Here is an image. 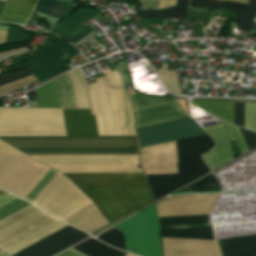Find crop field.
<instances>
[{"instance_id":"12","label":"crop field","mask_w":256,"mask_h":256,"mask_svg":"<svg viewBox=\"0 0 256 256\" xmlns=\"http://www.w3.org/2000/svg\"><path fill=\"white\" fill-rule=\"evenodd\" d=\"M140 147L206 134L188 117L137 129Z\"/></svg>"},{"instance_id":"58","label":"crop field","mask_w":256,"mask_h":256,"mask_svg":"<svg viewBox=\"0 0 256 256\" xmlns=\"http://www.w3.org/2000/svg\"><path fill=\"white\" fill-rule=\"evenodd\" d=\"M0 1H3V2H5L6 0H0Z\"/></svg>"},{"instance_id":"57","label":"crop field","mask_w":256,"mask_h":256,"mask_svg":"<svg viewBox=\"0 0 256 256\" xmlns=\"http://www.w3.org/2000/svg\"><path fill=\"white\" fill-rule=\"evenodd\" d=\"M126 256H135V255H130V254H128V255H126Z\"/></svg>"},{"instance_id":"2","label":"crop field","mask_w":256,"mask_h":256,"mask_svg":"<svg viewBox=\"0 0 256 256\" xmlns=\"http://www.w3.org/2000/svg\"><path fill=\"white\" fill-rule=\"evenodd\" d=\"M213 143L208 135L176 141L179 174L146 175L154 199L208 173L210 170L201 154L212 148Z\"/></svg>"},{"instance_id":"3","label":"crop field","mask_w":256,"mask_h":256,"mask_svg":"<svg viewBox=\"0 0 256 256\" xmlns=\"http://www.w3.org/2000/svg\"><path fill=\"white\" fill-rule=\"evenodd\" d=\"M66 135L61 109L0 108V136Z\"/></svg>"},{"instance_id":"21","label":"crop field","mask_w":256,"mask_h":256,"mask_svg":"<svg viewBox=\"0 0 256 256\" xmlns=\"http://www.w3.org/2000/svg\"><path fill=\"white\" fill-rule=\"evenodd\" d=\"M67 135H98L90 110L62 109Z\"/></svg>"},{"instance_id":"29","label":"crop field","mask_w":256,"mask_h":256,"mask_svg":"<svg viewBox=\"0 0 256 256\" xmlns=\"http://www.w3.org/2000/svg\"><path fill=\"white\" fill-rule=\"evenodd\" d=\"M33 71L28 67H24L20 70L10 72L8 74L0 76V85L8 84L20 78L30 75L29 72ZM36 79L33 76H28L13 83L0 87V94L8 93L10 91L23 88L24 86L35 82Z\"/></svg>"},{"instance_id":"9","label":"crop field","mask_w":256,"mask_h":256,"mask_svg":"<svg viewBox=\"0 0 256 256\" xmlns=\"http://www.w3.org/2000/svg\"><path fill=\"white\" fill-rule=\"evenodd\" d=\"M67 226L69 225L57 220L3 251L12 255ZM87 236L89 235L69 226L12 256H50Z\"/></svg>"},{"instance_id":"17","label":"crop field","mask_w":256,"mask_h":256,"mask_svg":"<svg viewBox=\"0 0 256 256\" xmlns=\"http://www.w3.org/2000/svg\"><path fill=\"white\" fill-rule=\"evenodd\" d=\"M165 256H221L218 242L162 238Z\"/></svg>"},{"instance_id":"5","label":"crop field","mask_w":256,"mask_h":256,"mask_svg":"<svg viewBox=\"0 0 256 256\" xmlns=\"http://www.w3.org/2000/svg\"><path fill=\"white\" fill-rule=\"evenodd\" d=\"M33 203L65 222L97 209L80 189L59 172Z\"/></svg>"},{"instance_id":"26","label":"crop field","mask_w":256,"mask_h":256,"mask_svg":"<svg viewBox=\"0 0 256 256\" xmlns=\"http://www.w3.org/2000/svg\"><path fill=\"white\" fill-rule=\"evenodd\" d=\"M123 135H136L131 99L124 87L114 88Z\"/></svg>"},{"instance_id":"18","label":"crop field","mask_w":256,"mask_h":256,"mask_svg":"<svg viewBox=\"0 0 256 256\" xmlns=\"http://www.w3.org/2000/svg\"><path fill=\"white\" fill-rule=\"evenodd\" d=\"M76 185L147 184L143 173L64 174Z\"/></svg>"},{"instance_id":"27","label":"crop field","mask_w":256,"mask_h":256,"mask_svg":"<svg viewBox=\"0 0 256 256\" xmlns=\"http://www.w3.org/2000/svg\"><path fill=\"white\" fill-rule=\"evenodd\" d=\"M196 107L233 123V101L189 99Z\"/></svg>"},{"instance_id":"10","label":"crop field","mask_w":256,"mask_h":256,"mask_svg":"<svg viewBox=\"0 0 256 256\" xmlns=\"http://www.w3.org/2000/svg\"><path fill=\"white\" fill-rule=\"evenodd\" d=\"M89 84V95L99 135H122L113 88L104 77Z\"/></svg>"},{"instance_id":"39","label":"crop field","mask_w":256,"mask_h":256,"mask_svg":"<svg viewBox=\"0 0 256 256\" xmlns=\"http://www.w3.org/2000/svg\"><path fill=\"white\" fill-rule=\"evenodd\" d=\"M222 122L225 125V129H226V132L228 134L229 140L230 141L236 140L241 154L248 151V149L246 147V144H245V141H244L239 129L235 126H232V125L224 122V121H222Z\"/></svg>"},{"instance_id":"35","label":"crop field","mask_w":256,"mask_h":256,"mask_svg":"<svg viewBox=\"0 0 256 256\" xmlns=\"http://www.w3.org/2000/svg\"><path fill=\"white\" fill-rule=\"evenodd\" d=\"M163 69L158 70V75L168 90L172 93H180L179 83L175 70L168 71L167 65H162Z\"/></svg>"},{"instance_id":"14","label":"crop field","mask_w":256,"mask_h":256,"mask_svg":"<svg viewBox=\"0 0 256 256\" xmlns=\"http://www.w3.org/2000/svg\"><path fill=\"white\" fill-rule=\"evenodd\" d=\"M219 194H189L156 203L159 216L209 214Z\"/></svg>"},{"instance_id":"11","label":"crop field","mask_w":256,"mask_h":256,"mask_svg":"<svg viewBox=\"0 0 256 256\" xmlns=\"http://www.w3.org/2000/svg\"><path fill=\"white\" fill-rule=\"evenodd\" d=\"M55 220L32 204L23 208L0 221V249H5Z\"/></svg>"},{"instance_id":"48","label":"crop field","mask_w":256,"mask_h":256,"mask_svg":"<svg viewBox=\"0 0 256 256\" xmlns=\"http://www.w3.org/2000/svg\"><path fill=\"white\" fill-rule=\"evenodd\" d=\"M197 1L216 3V4H222V5H229V6H236V7H242V8L246 7L245 4H231V3H225V2L216 1V0H197Z\"/></svg>"},{"instance_id":"50","label":"crop field","mask_w":256,"mask_h":256,"mask_svg":"<svg viewBox=\"0 0 256 256\" xmlns=\"http://www.w3.org/2000/svg\"><path fill=\"white\" fill-rule=\"evenodd\" d=\"M26 96L28 98V101H36L34 91L26 93Z\"/></svg>"},{"instance_id":"56","label":"crop field","mask_w":256,"mask_h":256,"mask_svg":"<svg viewBox=\"0 0 256 256\" xmlns=\"http://www.w3.org/2000/svg\"><path fill=\"white\" fill-rule=\"evenodd\" d=\"M0 107H4L3 104H2V102H1V100H0Z\"/></svg>"},{"instance_id":"51","label":"crop field","mask_w":256,"mask_h":256,"mask_svg":"<svg viewBox=\"0 0 256 256\" xmlns=\"http://www.w3.org/2000/svg\"><path fill=\"white\" fill-rule=\"evenodd\" d=\"M6 33L7 32H0V42H4L5 41Z\"/></svg>"},{"instance_id":"22","label":"crop field","mask_w":256,"mask_h":256,"mask_svg":"<svg viewBox=\"0 0 256 256\" xmlns=\"http://www.w3.org/2000/svg\"><path fill=\"white\" fill-rule=\"evenodd\" d=\"M96 15L98 14L87 9L80 10L75 13L71 18L55 26L52 31L58 33L62 37L75 44L80 39L84 38L92 32L81 23L89 20Z\"/></svg>"},{"instance_id":"53","label":"crop field","mask_w":256,"mask_h":256,"mask_svg":"<svg viewBox=\"0 0 256 256\" xmlns=\"http://www.w3.org/2000/svg\"><path fill=\"white\" fill-rule=\"evenodd\" d=\"M5 3L0 2V13Z\"/></svg>"},{"instance_id":"34","label":"crop field","mask_w":256,"mask_h":256,"mask_svg":"<svg viewBox=\"0 0 256 256\" xmlns=\"http://www.w3.org/2000/svg\"><path fill=\"white\" fill-rule=\"evenodd\" d=\"M54 80L57 84L61 108H76L72 83L67 73Z\"/></svg>"},{"instance_id":"37","label":"crop field","mask_w":256,"mask_h":256,"mask_svg":"<svg viewBox=\"0 0 256 256\" xmlns=\"http://www.w3.org/2000/svg\"><path fill=\"white\" fill-rule=\"evenodd\" d=\"M97 238L116 248L125 250L123 233L116 229H112Z\"/></svg>"},{"instance_id":"4","label":"crop field","mask_w":256,"mask_h":256,"mask_svg":"<svg viewBox=\"0 0 256 256\" xmlns=\"http://www.w3.org/2000/svg\"><path fill=\"white\" fill-rule=\"evenodd\" d=\"M100 209L109 223L152 201L148 185L77 186Z\"/></svg>"},{"instance_id":"47","label":"crop field","mask_w":256,"mask_h":256,"mask_svg":"<svg viewBox=\"0 0 256 256\" xmlns=\"http://www.w3.org/2000/svg\"><path fill=\"white\" fill-rule=\"evenodd\" d=\"M16 198H18V197L14 196V195H12V194H9V193H7V194L1 196V197H0V207L3 206V205H5L6 203H8V202H10V201H12V200H14V199H16Z\"/></svg>"},{"instance_id":"31","label":"crop field","mask_w":256,"mask_h":256,"mask_svg":"<svg viewBox=\"0 0 256 256\" xmlns=\"http://www.w3.org/2000/svg\"><path fill=\"white\" fill-rule=\"evenodd\" d=\"M75 8L76 6L60 0H40L35 11L61 19L72 12Z\"/></svg>"},{"instance_id":"23","label":"crop field","mask_w":256,"mask_h":256,"mask_svg":"<svg viewBox=\"0 0 256 256\" xmlns=\"http://www.w3.org/2000/svg\"><path fill=\"white\" fill-rule=\"evenodd\" d=\"M37 0H7L0 15V22L24 24Z\"/></svg>"},{"instance_id":"25","label":"crop field","mask_w":256,"mask_h":256,"mask_svg":"<svg viewBox=\"0 0 256 256\" xmlns=\"http://www.w3.org/2000/svg\"><path fill=\"white\" fill-rule=\"evenodd\" d=\"M227 1H233V2L247 4L249 0H227ZM191 4L200 6V7H205V8L232 10L236 14L237 21H240L242 14L245 10V9H240V8H234V7L222 6V5H216V4H209V3H201V2H196V1H191ZM255 14H256V0H250L247 8L243 14V17L240 21L238 29L251 30L253 22H254Z\"/></svg>"},{"instance_id":"8","label":"crop field","mask_w":256,"mask_h":256,"mask_svg":"<svg viewBox=\"0 0 256 256\" xmlns=\"http://www.w3.org/2000/svg\"><path fill=\"white\" fill-rule=\"evenodd\" d=\"M113 227L124 233L127 252L141 256H161L155 204Z\"/></svg>"},{"instance_id":"43","label":"crop field","mask_w":256,"mask_h":256,"mask_svg":"<svg viewBox=\"0 0 256 256\" xmlns=\"http://www.w3.org/2000/svg\"><path fill=\"white\" fill-rule=\"evenodd\" d=\"M27 37V35L17 30L16 28H9L5 44L23 43L26 41Z\"/></svg>"},{"instance_id":"52","label":"crop field","mask_w":256,"mask_h":256,"mask_svg":"<svg viewBox=\"0 0 256 256\" xmlns=\"http://www.w3.org/2000/svg\"><path fill=\"white\" fill-rule=\"evenodd\" d=\"M189 0H178L177 5H188Z\"/></svg>"},{"instance_id":"41","label":"crop field","mask_w":256,"mask_h":256,"mask_svg":"<svg viewBox=\"0 0 256 256\" xmlns=\"http://www.w3.org/2000/svg\"><path fill=\"white\" fill-rule=\"evenodd\" d=\"M31 203L22 200V199H17L9 204H7L6 206L0 208V220L9 216L10 214L20 210L21 208L29 205Z\"/></svg>"},{"instance_id":"30","label":"crop field","mask_w":256,"mask_h":256,"mask_svg":"<svg viewBox=\"0 0 256 256\" xmlns=\"http://www.w3.org/2000/svg\"><path fill=\"white\" fill-rule=\"evenodd\" d=\"M72 248L88 256H124L127 254L102 244L93 238H90Z\"/></svg>"},{"instance_id":"32","label":"crop field","mask_w":256,"mask_h":256,"mask_svg":"<svg viewBox=\"0 0 256 256\" xmlns=\"http://www.w3.org/2000/svg\"><path fill=\"white\" fill-rule=\"evenodd\" d=\"M38 106L43 108H60L57 88L54 81L35 89Z\"/></svg>"},{"instance_id":"54","label":"crop field","mask_w":256,"mask_h":256,"mask_svg":"<svg viewBox=\"0 0 256 256\" xmlns=\"http://www.w3.org/2000/svg\"><path fill=\"white\" fill-rule=\"evenodd\" d=\"M0 256H8V255L0 251Z\"/></svg>"},{"instance_id":"55","label":"crop field","mask_w":256,"mask_h":256,"mask_svg":"<svg viewBox=\"0 0 256 256\" xmlns=\"http://www.w3.org/2000/svg\"><path fill=\"white\" fill-rule=\"evenodd\" d=\"M5 193H6V192H3V191L0 190V196L3 195V194H5Z\"/></svg>"},{"instance_id":"1","label":"crop field","mask_w":256,"mask_h":256,"mask_svg":"<svg viewBox=\"0 0 256 256\" xmlns=\"http://www.w3.org/2000/svg\"><path fill=\"white\" fill-rule=\"evenodd\" d=\"M29 155L137 154V136L0 137Z\"/></svg>"},{"instance_id":"40","label":"crop field","mask_w":256,"mask_h":256,"mask_svg":"<svg viewBox=\"0 0 256 256\" xmlns=\"http://www.w3.org/2000/svg\"><path fill=\"white\" fill-rule=\"evenodd\" d=\"M245 128L256 132V104L246 102Z\"/></svg>"},{"instance_id":"15","label":"crop field","mask_w":256,"mask_h":256,"mask_svg":"<svg viewBox=\"0 0 256 256\" xmlns=\"http://www.w3.org/2000/svg\"><path fill=\"white\" fill-rule=\"evenodd\" d=\"M144 174L178 173L175 141L140 148Z\"/></svg>"},{"instance_id":"44","label":"crop field","mask_w":256,"mask_h":256,"mask_svg":"<svg viewBox=\"0 0 256 256\" xmlns=\"http://www.w3.org/2000/svg\"><path fill=\"white\" fill-rule=\"evenodd\" d=\"M245 103L234 102V124L244 128Z\"/></svg>"},{"instance_id":"24","label":"crop field","mask_w":256,"mask_h":256,"mask_svg":"<svg viewBox=\"0 0 256 256\" xmlns=\"http://www.w3.org/2000/svg\"><path fill=\"white\" fill-rule=\"evenodd\" d=\"M224 256H256V235L220 240Z\"/></svg>"},{"instance_id":"13","label":"crop field","mask_w":256,"mask_h":256,"mask_svg":"<svg viewBox=\"0 0 256 256\" xmlns=\"http://www.w3.org/2000/svg\"><path fill=\"white\" fill-rule=\"evenodd\" d=\"M160 237L214 240L208 215L159 217Z\"/></svg>"},{"instance_id":"19","label":"crop field","mask_w":256,"mask_h":256,"mask_svg":"<svg viewBox=\"0 0 256 256\" xmlns=\"http://www.w3.org/2000/svg\"><path fill=\"white\" fill-rule=\"evenodd\" d=\"M216 142L214 150L202 156L212 170L233 159L229 140L225 134L223 124L203 128Z\"/></svg>"},{"instance_id":"28","label":"crop field","mask_w":256,"mask_h":256,"mask_svg":"<svg viewBox=\"0 0 256 256\" xmlns=\"http://www.w3.org/2000/svg\"><path fill=\"white\" fill-rule=\"evenodd\" d=\"M176 4V0H160L159 9L170 7ZM187 6H174L165 10H138L137 16L141 18H184L186 17Z\"/></svg>"},{"instance_id":"38","label":"crop field","mask_w":256,"mask_h":256,"mask_svg":"<svg viewBox=\"0 0 256 256\" xmlns=\"http://www.w3.org/2000/svg\"><path fill=\"white\" fill-rule=\"evenodd\" d=\"M189 188L191 192L206 191V190L218 189L220 188V184L212 173L207 177H205L204 179L189 186Z\"/></svg>"},{"instance_id":"49","label":"crop field","mask_w":256,"mask_h":256,"mask_svg":"<svg viewBox=\"0 0 256 256\" xmlns=\"http://www.w3.org/2000/svg\"><path fill=\"white\" fill-rule=\"evenodd\" d=\"M58 256H85V255H83V254H81V253H79V252H77V251H75L73 249H69V250L61 253Z\"/></svg>"},{"instance_id":"46","label":"crop field","mask_w":256,"mask_h":256,"mask_svg":"<svg viewBox=\"0 0 256 256\" xmlns=\"http://www.w3.org/2000/svg\"><path fill=\"white\" fill-rule=\"evenodd\" d=\"M105 76L110 86L112 87L122 86L121 79L117 70L112 73L105 74Z\"/></svg>"},{"instance_id":"36","label":"crop field","mask_w":256,"mask_h":256,"mask_svg":"<svg viewBox=\"0 0 256 256\" xmlns=\"http://www.w3.org/2000/svg\"><path fill=\"white\" fill-rule=\"evenodd\" d=\"M131 98H132V102L135 110L177 100V99L147 98V97L139 96L137 94L131 96Z\"/></svg>"},{"instance_id":"7","label":"crop field","mask_w":256,"mask_h":256,"mask_svg":"<svg viewBox=\"0 0 256 256\" xmlns=\"http://www.w3.org/2000/svg\"><path fill=\"white\" fill-rule=\"evenodd\" d=\"M62 173L142 172L138 155L32 156Z\"/></svg>"},{"instance_id":"16","label":"crop field","mask_w":256,"mask_h":256,"mask_svg":"<svg viewBox=\"0 0 256 256\" xmlns=\"http://www.w3.org/2000/svg\"><path fill=\"white\" fill-rule=\"evenodd\" d=\"M75 54L77 51L69 44L63 41L57 42L34 57L41 69L31 74L39 81L59 74L69 68L65 65V61Z\"/></svg>"},{"instance_id":"42","label":"crop field","mask_w":256,"mask_h":256,"mask_svg":"<svg viewBox=\"0 0 256 256\" xmlns=\"http://www.w3.org/2000/svg\"><path fill=\"white\" fill-rule=\"evenodd\" d=\"M57 171L50 169V171L45 175V177L39 182V184L30 192L26 199L34 201L38 194L43 190V188L49 183V181L55 176Z\"/></svg>"},{"instance_id":"45","label":"crop field","mask_w":256,"mask_h":256,"mask_svg":"<svg viewBox=\"0 0 256 256\" xmlns=\"http://www.w3.org/2000/svg\"><path fill=\"white\" fill-rule=\"evenodd\" d=\"M248 146V149L256 147V133L249 132L245 129L239 128Z\"/></svg>"},{"instance_id":"6","label":"crop field","mask_w":256,"mask_h":256,"mask_svg":"<svg viewBox=\"0 0 256 256\" xmlns=\"http://www.w3.org/2000/svg\"><path fill=\"white\" fill-rule=\"evenodd\" d=\"M20 153L0 141V176ZM49 169L50 167L21 153L0 177V188L25 198Z\"/></svg>"},{"instance_id":"33","label":"crop field","mask_w":256,"mask_h":256,"mask_svg":"<svg viewBox=\"0 0 256 256\" xmlns=\"http://www.w3.org/2000/svg\"><path fill=\"white\" fill-rule=\"evenodd\" d=\"M67 73L73 82L77 108H90L86 83L79 68Z\"/></svg>"},{"instance_id":"20","label":"crop field","mask_w":256,"mask_h":256,"mask_svg":"<svg viewBox=\"0 0 256 256\" xmlns=\"http://www.w3.org/2000/svg\"><path fill=\"white\" fill-rule=\"evenodd\" d=\"M136 128L167 121L176 118L187 117L177 102L146 108L135 112Z\"/></svg>"}]
</instances>
